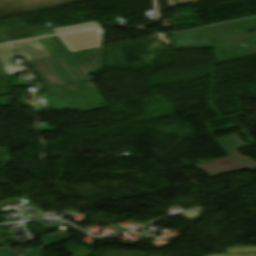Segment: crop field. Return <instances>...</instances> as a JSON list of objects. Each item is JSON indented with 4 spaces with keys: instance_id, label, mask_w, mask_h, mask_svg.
Segmentation results:
<instances>
[{
    "instance_id": "obj_1",
    "label": "crop field",
    "mask_w": 256,
    "mask_h": 256,
    "mask_svg": "<svg viewBox=\"0 0 256 256\" xmlns=\"http://www.w3.org/2000/svg\"><path fill=\"white\" fill-rule=\"evenodd\" d=\"M45 60L63 84L89 80V75L103 69V47Z\"/></svg>"
},
{
    "instance_id": "obj_2",
    "label": "crop field",
    "mask_w": 256,
    "mask_h": 256,
    "mask_svg": "<svg viewBox=\"0 0 256 256\" xmlns=\"http://www.w3.org/2000/svg\"><path fill=\"white\" fill-rule=\"evenodd\" d=\"M212 38L256 30V18L211 27ZM211 47L209 27L174 34V49Z\"/></svg>"
},
{
    "instance_id": "obj_3",
    "label": "crop field",
    "mask_w": 256,
    "mask_h": 256,
    "mask_svg": "<svg viewBox=\"0 0 256 256\" xmlns=\"http://www.w3.org/2000/svg\"><path fill=\"white\" fill-rule=\"evenodd\" d=\"M216 140L230 157L195 167L205 169L211 176L237 169L256 170L255 162L236 154L235 149L243 147L244 145L235 135L217 138Z\"/></svg>"
},
{
    "instance_id": "obj_4",
    "label": "crop field",
    "mask_w": 256,
    "mask_h": 256,
    "mask_svg": "<svg viewBox=\"0 0 256 256\" xmlns=\"http://www.w3.org/2000/svg\"><path fill=\"white\" fill-rule=\"evenodd\" d=\"M59 37L71 52L101 46L100 28L60 35Z\"/></svg>"
},
{
    "instance_id": "obj_5",
    "label": "crop field",
    "mask_w": 256,
    "mask_h": 256,
    "mask_svg": "<svg viewBox=\"0 0 256 256\" xmlns=\"http://www.w3.org/2000/svg\"><path fill=\"white\" fill-rule=\"evenodd\" d=\"M67 233H61L53 236L43 237V241L45 242L43 247H35L32 248L31 251H24L23 255L13 252L9 249V247L0 249V256H40L41 250L44 247L59 243L63 240L68 239Z\"/></svg>"
},
{
    "instance_id": "obj_6",
    "label": "crop field",
    "mask_w": 256,
    "mask_h": 256,
    "mask_svg": "<svg viewBox=\"0 0 256 256\" xmlns=\"http://www.w3.org/2000/svg\"><path fill=\"white\" fill-rule=\"evenodd\" d=\"M17 57L14 51L0 54V76L11 75L21 72H26L25 66L14 67L11 59Z\"/></svg>"
},
{
    "instance_id": "obj_7",
    "label": "crop field",
    "mask_w": 256,
    "mask_h": 256,
    "mask_svg": "<svg viewBox=\"0 0 256 256\" xmlns=\"http://www.w3.org/2000/svg\"><path fill=\"white\" fill-rule=\"evenodd\" d=\"M30 63L33 65V67L36 69V71L39 73V75L42 77L48 87L61 84L43 59L32 60L30 61Z\"/></svg>"
},
{
    "instance_id": "obj_8",
    "label": "crop field",
    "mask_w": 256,
    "mask_h": 256,
    "mask_svg": "<svg viewBox=\"0 0 256 256\" xmlns=\"http://www.w3.org/2000/svg\"><path fill=\"white\" fill-rule=\"evenodd\" d=\"M39 41L45 47L50 56L68 52L57 36L41 38Z\"/></svg>"
},
{
    "instance_id": "obj_9",
    "label": "crop field",
    "mask_w": 256,
    "mask_h": 256,
    "mask_svg": "<svg viewBox=\"0 0 256 256\" xmlns=\"http://www.w3.org/2000/svg\"><path fill=\"white\" fill-rule=\"evenodd\" d=\"M15 46H16L17 49L18 48H28L29 51L32 53V55L35 58H41V57L49 56V54L43 48V46L38 41V39L27 41V42L15 43Z\"/></svg>"
},
{
    "instance_id": "obj_10",
    "label": "crop field",
    "mask_w": 256,
    "mask_h": 256,
    "mask_svg": "<svg viewBox=\"0 0 256 256\" xmlns=\"http://www.w3.org/2000/svg\"><path fill=\"white\" fill-rule=\"evenodd\" d=\"M248 248H232L226 251V253L242 254L247 253Z\"/></svg>"
},
{
    "instance_id": "obj_11",
    "label": "crop field",
    "mask_w": 256,
    "mask_h": 256,
    "mask_svg": "<svg viewBox=\"0 0 256 256\" xmlns=\"http://www.w3.org/2000/svg\"><path fill=\"white\" fill-rule=\"evenodd\" d=\"M19 54L24 58L25 61L33 59L26 49L19 50ZM26 53V54H24Z\"/></svg>"
},
{
    "instance_id": "obj_12",
    "label": "crop field",
    "mask_w": 256,
    "mask_h": 256,
    "mask_svg": "<svg viewBox=\"0 0 256 256\" xmlns=\"http://www.w3.org/2000/svg\"><path fill=\"white\" fill-rule=\"evenodd\" d=\"M8 50H12V47L10 44L0 46V52H4V51H8Z\"/></svg>"
},
{
    "instance_id": "obj_13",
    "label": "crop field",
    "mask_w": 256,
    "mask_h": 256,
    "mask_svg": "<svg viewBox=\"0 0 256 256\" xmlns=\"http://www.w3.org/2000/svg\"><path fill=\"white\" fill-rule=\"evenodd\" d=\"M214 256H248V255H230V254H221V255H214Z\"/></svg>"
},
{
    "instance_id": "obj_14",
    "label": "crop field",
    "mask_w": 256,
    "mask_h": 256,
    "mask_svg": "<svg viewBox=\"0 0 256 256\" xmlns=\"http://www.w3.org/2000/svg\"><path fill=\"white\" fill-rule=\"evenodd\" d=\"M248 253H256V248H249Z\"/></svg>"
},
{
    "instance_id": "obj_15",
    "label": "crop field",
    "mask_w": 256,
    "mask_h": 256,
    "mask_svg": "<svg viewBox=\"0 0 256 256\" xmlns=\"http://www.w3.org/2000/svg\"><path fill=\"white\" fill-rule=\"evenodd\" d=\"M249 256H256V255H249Z\"/></svg>"
}]
</instances>
